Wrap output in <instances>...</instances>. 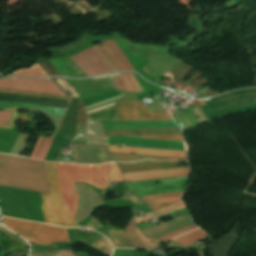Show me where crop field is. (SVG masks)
Returning <instances> with one entry per match:
<instances>
[{
    "label": "crop field",
    "mask_w": 256,
    "mask_h": 256,
    "mask_svg": "<svg viewBox=\"0 0 256 256\" xmlns=\"http://www.w3.org/2000/svg\"><path fill=\"white\" fill-rule=\"evenodd\" d=\"M50 195L41 194L42 209L45 223L63 227H77L62 196L64 197L73 217L76 212L79 196L76 194L74 182L90 184L93 166L44 162ZM110 179V164L94 166L91 184L105 189Z\"/></svg>",
    "instance_id": "8a807250"
},
{
    "label": "crop field",
    "mask_w": 256,
    "mask_h": 256,
    "mask_svg": "<svg viewBox=\"0 0 256 256\" xmlns=\"http://www.w3.org/2000/svg\"><path fill=\"white\" fill-rule=\"evenodd\" d=\"M0 185L49 194L43 162L11 155L0 154Z\"/></svg>",
    "instance_id": "ac0d7876"
},
{
    "label": "crop field",
    "mask_w": 256,
    "mask_h": 256,
    "mask_svg": "<svg viewBox=\"0 0 256 256\" xmlns=\"http://www.w3.org/2000/svg\"><path fill=\"white\" fill-rule=\"evenodd\" d=\"M2 218L8 228L33 243L48 245L57 241L69 242L67 231L64 228Z\"/></svg>",
    "instance_id": "34b2d1b8"
},
{
    "label": "crop field",
    "mask_w": 256,
    "mask_h": 256,
    "mask_svg": "<svg viewBox=\"0 0 256 256\" xmlns=\"http://www.w3.org/2000/svg\"><path fill=\"white\" fill-rule=\"evenodd\" d=\"M0 88L64 95L50 78L29 79L22 77H7L0 80Z\"/></svg>",
    "instance_id": "412701ff"
},
{
    "label": "crop field",
    "mask_w": 256,
    "mask_h": 256,
    "mask_svg": "<svg viewBox=\"0 0 256 256\" xmlns=\"http://www.w3.org/2000/svg\"><path fill=\"white\" fill-rule=\"evenodd\" d=\"M76 163L100 164L114 159L106 146L72 144Z\"/></svg>",
    "instance_id": "f4fd0767"
},
{
    "label": "crop field",
    "mask_w": 256,
    "mask_h": 256,
    "mask_svg": "<svg viewBox=\"0 0 256 256\" xmlns=\"http://www.w3.org/2000/svg\"><path fill=\"white\" fill-rule=\"evenodd\" d=\"M105 141L106 144L111 145H118L119 143H121L124 146H137L146 148H160L186 151L185 143L178 141L152 140L127 137L105 138Z\"/></svg>",
    "instance_id": "dd49c442"
},
{
    "label": "crop field",
    "mask_w": 256,
    "mask_h": 256,
    "mask_svg": "<svg viewBox=\"0 0 256 256\" xmlns=\"http://www.w3.org/2000/svg\"><path fill=\"white\" fill-rule=\"evenodd\" d=\"M117 109L118 120L172 119L169 113H146V107L137 103H117Z\"/></svg>",
    "instance_id": "e52e79f7"
},
{
    "label": "crop field",
    "mask_w": 256,
    "mask_h": 256,
    "mask_svg": "<svg viewBox=\"0 0 256 256\" xmlns=\"http://www.w3.org/2000/svg\"><path fill=\"white\" fill-rule=\"evenodd\" d=\"M158 243V240L147 238L135 228L131 218L117 247L156 249Z\"/></svg>",
    "instance_id": "d8731c3e"
},
{
    "label": "crop field",
    "mask_w": 256,
    "mask_h": 256,
    "mask_svg": "<svg viewBox=\"0 0 256 256\" xmlns=\"http://www.w3.org/2000/svg\"><path fill=\"white\" fill-rule=\"evenodd\" d=\"M71 58L87 76L111 72L90 48Z\"/></svg>",
    "instance_id": "5a996713"
},
{
    "label": "crop field",
    "mask_w": 256,
    "mask_h": 256,
    "mask_svg": "<svg viewBox=\"0 0 256 256\" xmlns=\"http://www.w3.org/2000/svg\"><path fill=\"white\" fill-rule=\"evenodd\" d=\"M122 175L124 177V182L149 180V179H157V178H165V177H179V176H188L189 168L184 167V168L162 169V170H154V171L126 173Z\"/></svg>",
    "instance_id": "3316defc"
},
{
    "label": "crop field",
    "mask_w": 256,
    "mask_h": 256,
    "mask_svg": "<svg viewBox=\"0 0 256 256\" xmlns=\"http://www.w3.org/2000/svg\"><path fill=\"white\" fill-rule=\"evenodd\" d=\"M182 192L179 193H170V194H161V195H152V196H143L141 197L150 208L154 211L159 210L161 208L167 207L169 205L175 204L180 202V195Z\"/></svg>",
    "instance_id": "28ad6ade"
},
{
    "label": "crop field",
    "mask_w": 256,
    "mask_h": 256,
    "mask_svg": "<svg viewBox=\"0 0 256 256\" xmlns=\"http://www.w3.org/2000/svg\"><path fill=\"white\" fill-rule=\"evenodd\" d=\"M110 80L115 85L113 86L114 89L135 93L143 91L133 73H123L120 76L111 77Z\"/></svg>",
    "instance_id": "d1516ede"
},
{
    "label": "crop field",
    "mask_w": 256,
    "mask_h": 256,
    "mask_svg": "<svg viewBox=\"0 0 256 256\" xmlns=\"http://www.w3.org/2000/svg\"><path fill=\"white\" fill-rule=\"evenodd\" d=\"M62 75L66 77H86L81 70L70 60L66 57L61 59H49L48 60Z\"/></svg>",
    "instance_id": "22f410ed"
},
{
    "label": "crop field",
    "mask_w": 256,
    "mask_h": 256,
    "mask_svg": "<svg viewBox=\"0 0 256 256\" xmlns=\"http://www.w3.org/2000/svg\"><path fill=\"white\" fill-rule=\"evenodd\" d=\"M121 173L179 167L178 161L152 162L118 166Z\"/></svg>",
    "instance_id": "cbeb9de0"
},
{
    "label": "crop field",
    "mask_w": 256,
    "mask_h": 256,
    "mask_svg": "<svg viewBox=\"0 0 256 256\" xmlns=\"http://www.w3.org/2000/svg\"><path fill=\"white\" fill-rule=\"evenodd\" d=\"M110 152H120V153H139V154H149V155H161V156H177L186 157V152L178 151H165V150H148L139 148H127L118 146L107 145Z\"/></svg>",
    "instance_id": "5142ce71"
},
{
    "label": "crop field",
    "mask_w": 256,
    "mask_h": 256,
    "mask_svg": "<svg viewBox=\"0 0 256 256\" xmlns=\"http://www.w3.org/2000/svg\"><path fill=\"white\" fill-rule=\"evenodd\" d=\"M105 137L155 134H180L179 129L104 131Z\"/></svg>",
    "instance_id": "d9b57169"
},
{
    "label": "crop field",
    "mask_w": 256,
    "mask_h": 256,
    "mask_svg": "<svg viewBox=\"0 0 256 256\" xmlns=\"http://www.w3.org/2000/svg\"><path fill=\"white\" fill-rule=\"evenodd\" d=\"M149 63L158 68H164L167 70H172L175 66H177L179 63H181L180 60H178L177 58L173 57L170 54H166V55H160V56H152L147 58Z\"/></svg>",
    "instance_id": "733c2abd"
},
{
    "label": "crop field",
    "mask_w": 256,
    "mask_h": 256,
    "mask_svg": "<svg viewBox=\"0 0 256 256\" xmlns=\"http://www.w3.org/2000/svg\"><path fill=\"white\" fill-rule=\"evenodd\" d=\"M115 161L121 162H133L138 161L140 158L150 159V160H174V159H182V158H172V157H161V156H149V155H131V154H119V153H111ZM185 160L186 159H182Z\"/></svg>",
    "instance_id": "4a817a6b"
},
{
    "label": "crop field",
    "mask_w": 256,
    "mask_h": 256,
    "mask_svg": "<svg viewBox=\"0 0 256 256\" xmlns=\"http://www.w3.org/2000/svg\"><path fill=\"white\" fill-rule=\"evenodd\" d=\"M53 138L40 137L30 158L44 160Z\"/></svg>",
    "instance_id": "bc2a9ffb"
},
{
    "label": "crop field",
    "mask_w": 256,
    "mask_h": 256,
    "mask_svg": "<svg viewBox=\"0 0 256 256\" xmlns=\"http://www.w3.org/2000/svg\"><path fill=\"white\" fill-rule=\"evenodd\" d=\"M207 236L208 235L203 233L201 230L197 229V230L192 231L190 233H187V234H185L183 236H180V237L174 239L173 241H176V242L181 243V244L188 245L190 243H193L195 241L203 239V238H205Z\"/></svg>",
    "instance_id": "214f88e0"
},
{
    "label": "crop field",
    "mask_w": 256,
    "mask_h": 256,
    "mask_svg": "<svg viewBox=\"0 0 256 256\" xmlns=\"http://www.w3.org/2000/svg\"><path fill=\"white\" fill-rule=\"evenodd\" d=\"M184 207L182 203L180 204H177V205H174V206H171V207H168V208H165V209H162V210H159V211H156V212H153L149 215H147L146 217H138V218H133L134 220V224H138L140 222H143L147 219H151V218H155V217H158L160 215H163V214H166V213H169L171 211H174V210H177L179 208H182Z\"/></svg>",
    "instance_id": "92a150f3"
},
{
    "label": "crop field",
    "mask_w": 256,
    "mask_h": 256,
    "mask_svg": "<svg viewBox=\"0 0 256 256\" xmlns=\"http://www.w3.org/2000/svg\"><path fill=\"white\" fill-rule=\"evenodd\" d=\"M53 79L66 96L75 97V98L79 97L76 91L68 84V82L65 79H61V78H53Z\"/></svg>",
    "instance_id": "dafd665d"
},
{
    "label": "crop field",
    "mask_w": 256,
    "mask_h": 256,
    "mask_svg": "<svg viewBox=\"0 0 256 256\" xmlns=\"http://www.w3.org/2000/svg\"><path fill=\"white\" fill-rule=\"evenodd\" d=\"M108 45L111 47V49L114 51V53L117 55L127 70H134L132 65L129 63L128 58L116 43H108Z\"/></svg>",
    "instance_id": "00972430"
},
{
    "label": "crop field",
    "mask_w": 256,
    "mask_h": 256,
    "mask_svg": "<svg viewBox=\"0 0 256 256\" xmlns=\"http://www.w3.org/2000/svg\"><path fill=\"white\" fill-rule=\"evenodd\" d=\"M0 92L72 100V98L70 97H63L59 95H50V94H40V93L18 91V90L0 89Z\"/></svg>",
    "instance_id": "a9b5d70f"
},
{
    "label": "crop field",
    "mask_w": 256,
    "mask_h": 256,
    "mask_svg": "<svg viewBox=\"0 0 256 256\" xmlns=\"http://www.w3.org/2000/svg\"><path fill=\"white\" fill-rule=\"evenodd\" d=\"M100 48L106 53V55L112 60V62L118 67L120 71L126 70L106 42H103Z\"/></svg>",
    "instance_id": "4177f3b9"
},
{
    "label": "crop field",
    "mask_w": 256,
    "mask_h": 256,
    "mask_svg": "<svg viewBox=\"0 0 256 256\" xmlns=\"http://www.w3.org/2000/svg\"><path fill=\"white\" fill-rule=\"evenodd\" d=\"M13 74H22V75H30V76H47L45 72L41 69L38 63L34 64L32 68L19 70Z\"/></svg>",
    "instance_id": "730fd06b"
},
{
    "label": "crop field",
    "mask_w": 256,
    "mask_h": 256,
    "mask_svg": "<svg viewBox=\"0 0 256 256\" xmlns=\"http://www.w3.org/2000/svg\"><path fill=\"white\" fill-rule=\"evenodd\" d=\"M91 245L93 247H95L96 249H98L108 255H110L112 252V248H111L108 240L105 237L93 242Z\"/></svg>",
    "instance_id": "eef30255"
},
{
    "label": "crop field",
    "mask_w": 256,
    "mask_h": 256,
    "mask_svg": "<svg viewBox=\"0 0 256 256\" xmlns=\"http://www.w3.org/2000/svg\"><path fill=\"white\" fill-rule=\"evenodd\" d=\"M95 54L106 64V66L112 71H118L116 67L110 62V60L105 56V54L99 49L97 45L91 47Z\"/></svg>",
    "instance_id": "ae1a2a85"
},
{
    "label": "crop field",
    "mask_w": 256,
    "mask_h": 256,
    "mask_svg": "<svg viewBox=\"0 0 256 256\" xmlns=\"http://www.w3.org/2000/svg\"><path fill=\"white\" fill-rule=\"evenodd\" d=\"M39 65L44 69V71L48 74V75H59L61 76L56 70L55 68L47 61H43V62H39Z\"/></svg>",
    "instance_id": "d3111659"
},
{
    "label": "crop field",
    "mask_w": 256,
    "mask_h": 256,
    "mask_svg": "<svg viewBox=\"0 0 256 256\" xmlns=\"http://www.w3.org/2000/svg\"><path fill=\"white\" fill-rule=\"evenodd\" d=\"M140 138H153V139H165V140H178L183 141L181 135H156V136H139Z\"/></svg>",
    "instance_id": "750c4746"
},
{
    "label": "crop field",
    "mask_w": 256,
    "mask_h": 256,
    "mask_svg": "<svg viewBox=\"0 0 256 256\" xmlns=\"http://www.w3.org/2000/svg\"><path fill=\"white\" fill-rule=\"evenodd\" d=\"M194 228H196L195 225L189 226V227H186V228H183V229H181V230H179V231H176V232H174V233H172V234H169V235H167V236H165V237H162V238H160L159 240H171V239H173V238H175V237H177V236H179V235H181V234H183V233H185V232H187V231H189V230H192V229H194ZM157 239H158V238H157Z\"/></svg>",
    "instance_id": "bd1437ed"
},
{
    "label": "crop field",
    "mask_w": 256,
    "mask_h": 256,
    "mask_svg": "<svg viewBox=\"0 0 256 256\" xmlns=\"http://www.w3.org/2000/svg\"><path fill=\"white\" fill-rule=\"evenodd\" d=\"M122 232L123 231H121V230H119L118 232L113 231V230L109 231L110 240H111V242H112L114 247L116 246V244H117V242H118Z\"/></svg>",
    "instance_id": "1d83c4d3"
},
{
    "label": "crop field",
    "mask_w": 256,
    "mask_h": 256,
    "mask_svg": "<svg viewBox=\"0 0 256 256\" xmlns=\"http://www.w3.org/2000/svg\"><path fill=\"white\" fill-rule=\"evenodd\" d=\"M123 180V177L116 166V163H113V170L111 175V181Z\"/></svg>",
    "instance_id": "120bbe31"
},
{
    "label": "crop field",
    "mask_w": 256,
    "mask_h": 256,
    "mask_svg": "<svg viewBox=\"0 0 256 256\" xmlns=\"http://www.w3.org/2000/svg\"><path fill=\"white\" fill-rule=\"evenodd\" d=\"M10 114H11V112H9V111H0V127H4Z\"/></svg>",
    "instance_id": "d32e631a"
},
{
    "label": "crop field",
    "mask_w": 256,
    "mask_h": 256,
    "mask_svg": "<svg viewBox=\"0 0 256 256\" xmlns=\"http://www.w3.org/2000/svg\"><path fill=\"white\" fill-rule=\"evenodd\" d=\"M85 227H89L96 230L98 228H101L102 225H100L95 219L91 218Z\"/></svg>",
    "instance_id": "5866460e"
},
{
    "label": "crop field",
    "mask_w": 256,
    "mask_h": 256,
    "mask_svg": "<svg viewBox=\"0 0 256 256\" xmlns=\"http://www.w3.org/2000/svg\"><path fill=\"white\" fill-rule=\"evenodd\" d=\"M56 256H74L72 251L62 250Z\"/></svg>",
    "instance_id": "028f5c9d"
}]
</instances>
